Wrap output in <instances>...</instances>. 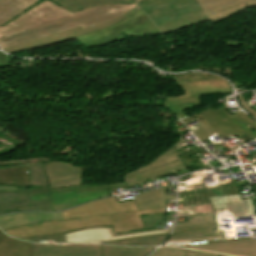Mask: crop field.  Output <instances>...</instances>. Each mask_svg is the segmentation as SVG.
Returning <instances> with one entry per match:
<instances>
[{
	"mask_svg": "<svg viewBox=\"0 0 256 256\" xmlns=\"http://www.w3.org/2000/svg\"><path fill=\"white\" fill-rule=\"evenodd\" d=\"M165 208L138 211L133 201L118 204L115 197L56 213L0 216V228L19 239L69 232L93 226H113L114 232L145 228L139 215L163 213Z\"/></svg>",
	"mask_w": 256,
	"mask_h": 256,
	"instance_id": "obj_1",
	"label": "crop field"
},
{
	"mask_svg": "<svg viewBox=\"0 0 256 256\" xmlns=\"http://www.w3.org/2000/svg\"><path fill=\"white\" fill-rule=\"evenodd\" d=\"M136 6V4L96 6L73 14L49 0H44L26 13L21 12L0 26V47L11 46L79 26L88 27L113 19ZM38 13L41 14L38 15Z\"/></svg>",
	"mask_w": 256,
	"mask_h": 256,
	"instance_id": "obj_2",
	"label": "crop field"
},
{
	"mask_svg": "<svg viewBox=\"0 0 256 256\" xmlns=\"http://www.w3.org/2000/svg\"><path fill=\"white\" fill-rule=\"evenodd\" d=\"M44 167L50 185L51 207L54 211L78 205L76 192L127 187L125 183L80 187L84 169L57 161L46 162Z\"/></svg>",
	"mask_w": 256,
	"mask_h": 256,
	"instance_id": "obj_3",
	"label": "crop field"
},
{
	"mask_svg": "<svg viewBox=\"0 0 256 256\" xmlns=\"http://www.w3.org/2000/svg\"><path fill=\"white\" fill-rule=\"evenodd\" d=\"M195 119L200 124L192 132L200 141L208 139V136L215 133L218 134L219 138L230 135L242 138L250 134L256 139V123L241 111L231 116L220 106L216 109H207L193 116L186 117L182 121L186 124Z\"/></svg>",
	"mask_w": 256,
	"mask_h": 256,
	"instance_id": "obj_4",
	"label": "crop field"
},
{
	"mask_svg": "<svg viewBox=\"0 0 256 256\" xmlns=\"http://www.w3.org/2000/svg\"><path fill=\"white\" fill-rule=\"evenodd\" d=\"M30 184L49 186L43 163L28 166ZM18 211H52L49 187L19 188L18 193L0 192V214Z\"/></svg>",
	"mask_w": 256,
	"mask_h": 256,
	"instance_id": "obj_5",
	"label": "crop field"
},
{
	"mask_svg": "<svg viewBox=\"0 0 256 256\" xmlns=\"http://www.w3.org/2000/svg\"><path fill=\"white\" fill-rule=\"evenodd\" d=\"M160 33L140 10L113 26L76 38L88 49L135 36Z\"/></svg>",
	"mask_w": 256,
	"mask_h": 256,
	"instance_id": "obj_6",
	"label": "crop field"
},
{
	"mask_svg": "<svg viewBox=\"0 0 256 256\" xmlns=\"http://www.w3.org/2000/svg\"><path fill=\"white\" fill-rule=\"evenodd\" d=\"M213 228H216L213 214H210L209 218L206 219L178 222L176 223L172 234L163 246L180 247L214 241H226V239L222 237L223 233H214L212 231ZM245 238L249 237H237L235 239Z\"/></svg>",
	"mask_w": 256,
	"mask_h": 256,
	"instance_id": "obj_7",
	"label": "crop field"
},
{
	"mask_svg": "<svg viewBox=\"0 0 256 256\" xmlns=\"http://www.w3.org/2000/svg\"><path fill=\"white\" fill-rule=\"evenodd\" d=\"M179 84L182 86L184 96L167 97V107L180 118L185 117L181 112L199 105V95L232 92L227 80L195 81Z\"/></svg>",
	"mask_w": 256,
	"mask_h": 256,
	"instance_id": "obj_8",
	"label": "crop field"
},
{
	"mask_svg": "<svg viewBox=\"0 0 256 256\" xmlns=\"http://www.w3.org/2000/svg\"><path fill=\"white\" fill-rule=\"evenodd\" d=\"M138 5L156 26L200 10L195 0H147Z\"/></svg>",
	"mask_w": 256,
	"mask_h": 256,
	"instance_id": "obj_9",
	"label": "crop field"
},
{
	"mask_svg": "<svg viewBox=\"0 0 256 256\" xmlns=\"http://www.w3.org/2000/svg\"><path fill=\"white\" fill-rule=\"evenodd\" d=\"M174 171L187 172L182 162L169 149L157 160L150 163L148 166L140 168L136 171H131L124 178L128 187L142 184L148 179L161 178L174 173Z\"/></svg>",
	"mask_w": 256,
	"mask_h": 256,
	"instance_id": "obj_10",
	"label": "crop field"
},
{
	"mask_svg": "<svg viewBox=\"0 0 256 256\" xmlns=\"http://www.w3.org/2000/svg\"><path fill=\"white\" fill-rule=\"evenodd\" d=\"M168 230H153L125 235L114 236L112 227H93L74 232L66 233L67 242H83V243H107L119 240L139 238L151 235L168 234Z\"/></svg>",
	"mask_w": 256,
	"mask_h": 256,
	"instance_id": "obj_11",
	"label": "crop field"
},
{
	"mask_svg": "<svg viewBox=\"0 0 256 256\" xmlns=\"http://www.w3.org/2000/svg\"><path fill=\"white\" fill-rule=\"evenodd\" d=\"M137 10H139L138 6L134 9L130 10L129 12L123 14L122 16H120V17H118L114 20H111V21L103 22V23H100V24H97V25H94L92 27L85 28V29H82L81 27H79V28L72 29V30H69V31H66V32L58 33V34H55V35H51V36L36 39V40H33V41L25 42V43H22V44H18V45H14V46H11V47L3 48V50L8 52L9 54H12V53H15V52L25 51V50L40 47V46H43V45H47V44H53V43H58V42L66 41V40H69V39H73V38H76L78 36L84 35L86 33L109 27V26L113 25L115 22L127 17L128 15L134 13Z\"/></svg>",
	"mask_w": 256,
	"mask_h": 256,
	"instance_id": "obj_12",
	"label": "crop field"
},
{
	"mask_svg": "<svg viewBox=\"0 0 256 256\" xmlns=\"http://www.w3.org/2000/svg\"><path fill=\"white\" fill-rule=\"evenodd\" d=\"M210 24L216 23L246 7L255 6L256 0H196ZM215 12V15H212Z\"/></svg>",
	"mask_w": 256,
	"mask_h": 256,
	"instance_id": "obj_13",
	"label": "crop field"
},
{
	"mask_svg": "<svg viewBox=\"0 0 256 256\" xmlns=\"http://www.w3.org/2000/svg\"><path fill=\"white\" fill-rule=\"evenodd\" d=\"M102 245L34 244L33 256H101Z\"/></svg>",
	"mask_w": 256,
	"mask_h": 256,
	"instance_id": "obj_14",
	"label": "crop field"
},
{
	"mask_svg": "<svg viewBox=\"0 0 256 256\" xmlns=\"http://www.w3.org/2000/svg\"><path fill=\"white\" fill-rule=\"evenodd\" d=\"M181 248L220 252L238 256H256V239L231 240Z\"/></svg>",
	"mask_w": 256,
	"mask_h": 256,
	"instance_id": "obj_15",
	"label": "crop field"
},
{
	"mask_svg": "<svg viewBox=\"0 0 256 256\" xmlns=\"http://www.w3.org/2000/svg\"><path fill=\"white\" fill-rule=\"evenodd\" d=\"M176 185L164 186L134 197L139 210L165 207V199H175V196L165 195V187L174 188Z\"/></svg>",
	"mask_w": 256,
	"mask_h": 256,
	"instance_id": "obj_16",
	"label": "crop field"
},
{
	"mask_svg": "<svg viewBox=\"0 0 256 256\" xmlns=\"http://www.w3.org/2000/svg\"><path fill=\"white\" fill-rule=\"evenodd\" d=\"M33 244L7 237L0 230V256H31Z\"/></svg>",
	"mask_w": 256,
	"mask_h": 256,
	"instance_id": "obj_17",
	"label": "crop field"
},
{
	"mask_svg": "<svg viewBox=\"0 0 256 256\" xmlns=\"http://www.w3.org/2000/svg\"><path fill=\"white\" fill-rule=\"evenodd\" d=\"M26 167L0 169V184L15 185L17 187H30L29 175Z\"/></svg>",
	"mask_w": 256,
	"mask_h": 256,
	"instance_id": "obj_18",
	"label": "crop field"
},
{
	"mask_svg": "<svg viewBox=\"0 0 256 256\" xmlns=\"http://www.w3.org/2000/svg\"><path fill=\"white\" fill-rule=\"evenodd\" d=\"M39 0H0V25Z\"/></svg>",
	"mask_w": 256,
	"mask_h": 256,
	"instance_id": "obj_19",
	"label": "crop field"
},
{
	"mask_svg": "<svg viewBox=\"0 0 256 256\" xmlns=\"http://www.w3.org/2000/svg\"><path fill=\"white\" fill-rule=\"evenodd\" d=\"M58 4L59 6L71 11L76 12L81 9H85L87 7L96 6V5H104V4H119L126 3L132 4L134 3L132 0H51Z\"/></svg>",
	"mask_w": 256,
	"mask_h": 256,
	"instance_id": "obj_20",
	"label": "crop field"
},
{
	"mask_svg": "<svg viewBox=\"0 0 256 256\" xmlns=\"http://www.w3.org/2000/svg\"><path fill=\"white\" fill-rule=\"evenodd\" d=\"M207 19L204 17L202 11H198L195 13H192L190 15L184 16L182 18L176 19L174 21L168 22L166 24L158 26L160 31L165 34L167 32H171L174 30H178L181 28H185L188 26H192L195 24H199L202 22H206Z\"/></svg>",
	"mask_w": 256,
	"mask_h": 256,
	"instance_id": "obj_21",
	"label": "crop field"
},
{
	"mask_svg": "<svg viewBox=\"0 0 256 256\" xmlns=\"http://www.w3.org/2000/svg\"><path fill=\"white\" fill-rule=\"evenodd\" d=\"M156 248L103 245L102 256H148Z\"/></svg>",
	"mask_w": 256,
	"mask_h": 256,
	"instance_id": "obj_22",
	"label": "crop field"
},
{
	"mask_svg": "<svg viewBox=\"0 0 256 256\" xmlns=\"http://www.w3.org/2000/svg\"><path fill=\"white\" fill-rule=\"evenodd\" d=\"M213 210L217 208H229L230 212L234 215V217H245V216H254V205L253 200H244L229 204L215 205L212 206Z\"/></svg>",
	"mask_w": 256,
	"mask_h": 256,
	"instance_id": "obj_23",
	"label": "crop field"
},
{
	"mask_svg": "<svg viewBox=\"0 0 256 256\" xmlns=\"http://www.w3.org/2000/svg\"><path fill=\"white\" fill-rule=\"evenodd\" d=\"M166 237L167 235L151 236L139 239L113 242L110 244H116L121 246H159L166 239Z\"/></svg>",
	"mask_w": 256,
	"mask_h": 256,
	"instance_id": "obj_24",
	"label": "crop field"
},
{
	"mask_svg": "<svg viewBox=\"0 0 256 256\" xmlns=\"http://www.w3.org/2000/svg\"><path fill=\"white\" fill-rule=\"evenodd\" d=\"M174 81L178 82H186V81H195V80H217L223 79L219 76L208 74V73H191V74H180V75H172Z\"/></svg>",
	"mask_w": 256,
	"mask_h": 256,
	"instance_id": "obj_25",
	"label": "crop field"
},
{
	"mask_svg": "<svg viewBox=\"0 0 256 256\" xmlns=\"http://www.w3.org/2000/svg\"><path fill=\"white\" fill-rule=\"evenodd\" d=\"M187 250L159 247L150 256H184Z\"/></svg>",
	"mask_w": 256,
	"mask_h": 256,
	"instance_id": "obj_26",
	"label": "crop field"
},
{
	"mask_svg": "<svg viewBox=\"0 0 256 256\" xmlns=\"http://www.w3.org/2000/svg\"><path fill=\"white\" fill-rule=\"evenodd\" d=\"M23 240L32 242H66L65 233Z\"/></svg>",
	"mask_w": 256,
	"mask_h": 256,
	"instance_id": "obj_27",
	"label": "crop field"
},
{
	"mask_svg": "<svg viewBox=\"0 0 256 256\" xmlns=\"http://www.w3.org/2000/svg\"><path fill=\"white\" fill-rule=\"evenodd\" d=\"M196 67H197L196 70L200 69V70L215 71V72H219L223 75L228 76L230 79L232 77V72H231L230 68H203V66H196ZM191 70H194V69H191ZM224 70H227V72H225ZM233 84H234L235 88H239V87L243 86L242 83H238L236 81H233Z\"/></svg>",
	"mask_w": 256,
	"mask_h": 256,
	"instance_id": "obj_28",
	"label": "crop field"
},
{
	"mask_svg": "<svg viewBox=\"0 0 256 256\" xmlns=\"http://www.w3.org/2000/svg\"><path fill=\"white\" fill-rule=\"evenodd\" d=\"M240 106L243 107L254 119H256V112H254L249 106L245 104V101L241 94H237Z\"/></svg>",
	"mask_w": 256,
	"mask_h": 256,
	"instance_id": "obj_29",
	"label": "crop field"
},
{
	"mask_svg": "<svg viewBox=\"0 0 256 256\" xmlns=\"http://www.w3.org/2000/svg\"><path fill=\"white\" fill-rule=\"evenodd\" d=\"M218 255L219 254H216V253L188 250L185 256H218Z\"/></svg>",
	"mask_w": 256,
	"mask_h": 256,
	"instance_id": "obj_30",
	"label": "crop field"
},
{
	"mask_svg": "<svg viewBox=\"0 0 256 256\" xmlns=\"http://www.w3.org/2000/svg\"><path fill=\"white\" fill-rule=\"evenodd\" d=\"M10 57L0 52V68L9 66Z\"/></svg>",
	"mask_w": 256,
	"mask_h": 256,
	"instance_id": "obj_31",
	"label": "crop field"
},
{
	"mask_svg": "<svg viewBox=\"0 0 256 256\" xmlns=\"http://www.w3.org/2000/svg\"><path fill=\"white\" fill-rule=\"evenodd\" d=\"M254 186V189H255V192H256V185H253Z\"/></svg>",
	"mask_w": 256,
	"mask_h": 256,
	"instance_id": "obj_32",
	"label": "crop field"
},
{
	"mask_svg": "<svg viewBox=\"0 0 256 256\" xmlns=\"http://www.w3.org/2000/svg\"><path fill=\"white\" fill-rule=\"evenodd\" d=\"M135 2L141 1V0H134Z\"/></svg>",
	"mask_w": 256,
	"mask_h": 256,
	"instance_id": "obj_33",
	"label": "crop field"
}]
</instances>
